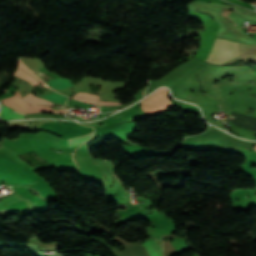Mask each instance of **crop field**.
<instances>
[{
  "label": "crop field",
  "instance_id": "obj_13",
  "mask_svg": "<svg viewBox=\"0 0 256 256\" xmlns=\"http://www.w3.org/2000/svg\"><path fill=\"white\" fill-rule=\"evenodd\" d=\"M17 68L26 71L28 74H30L32 77H34L36 80H38L39 82L44 84L38 77L34 76L33 72L31 70H29L21 61H19V64H18Z\"/></svg>",
  "mask_w": 256,
  "mask_h": 256
},
{
  "label": "crop field",
  "instance_id": "obj_14",
  "mask_svg": "<svg viewBox=\"0 0 256 256\" xmlns=\"http://www.w3.org/2000/svg\"><path fill=\"white\" fill-rule=\"evenodd\" d=\"M100 105H117L115 103L98 102Z\"/></svg>",
  "mask_w": 256,
  "mask_h": 256
},
{
  "label": "crop field",
  "instance_id": "obj_16",
  "mask_svg": "<svg viewBox=\"0 0 256 256\" xmlns=\"http://www.w3.org/2000/svg\"><path fill=\"white\" fill-rule=\"evenodd\" d=\"M255 152H256V146L254 147V149H253Z\"/></svg>",
  "mask_w": 256,
  "mask_h": 256
},
{
  "label": "crop field",
  "instance_id": "obj_1",
  "mask_svg": "<svg viewBox=\"0 0 256 256\" xmlns=\"http://www.w3.org/2000/svg\"><path fill=\"white\" fill-rule=\"evenodd\" d=\"M239 55L240 54L236 43L216 38L213 50L207 61L219 64Z\"/></svg>",
  "mask_w": 256,
  "mask_h": 256
},
{
  "label": "crop field",
  "instance_id": "obj_11",
  "mask_svg": "<svg viewBox=\"0 0 256 256\" xmlns=\"http://www.w3.org/2000/svg\"><path fill=\"white\" fill-rule=\"evenodd\" d=\"M24 100L30 102L32 105L35 104V103H40V104H49V105H53L52 103H49L47 101H44V100H41L31 94L23 97Z\"/></svg>",
  "mask_w": 256,
  "mask_h": 256
},
{
  "label": "crop field",
  "instance_id": "obj_3",
  "mask_svg": "<svg viewBox=\"0 0 256 256\" xmlns=\"http://www.w3.org/2000/svg\"><path fill=\"white\" fill-rule=\"evenodd\" d=\"M6 105L20 111V112H27L29 111H37V110H51L50 107L40 106V105H29L25 101L22 100L20 95L13 96L8 99L2 100ZM28 111V112H29ZM43 112H50V111H43Z\"/></svg>",
  "mask_w": 256,
  "mask_h": 256
},
{
  "label": "crop field",
  "instance_id": "obj_6",
  "mask_svg": "<svg viewBox=\"0 0 256 256\" xmlns=\"http://www.w3.org/2000/svg\"><path fill=\"white\" fill-rule=\"evenodd\" d=\"M51 81L47 82L48 85L55 89H64L68 86H73V84L70 82V80L61 78V79H50Z\"/></svg>",
  "mask_w": 256,
  "mask_h": 256
},
{
  "label": "crop field",
  "instance_id": "obj_5",
  "mask_svg": "<svg viewBox=\"0 0 256 256\" xmlns=\"http://www.w3.org/2000/svg\"><path fill=\"white\" fill-rule=\"evenodd\" d=\"M16 112H14V110H12V109H10V108H8V107L3 105L2 106V110H1V114H0V119L1 120H9V118H13V119L25 118L26 115L18 114Z\"/></svg>",
  "mask_w": 256,
  "mask_h": 256
},
{
  "label": "crop field",
  "instance_id": "obj_8",
  "mask_svg": "<svg viewBox=\"0 0 256 256\" xmlns=\"http://www.w3.org/2000/svg\"><path fill=\"white\" fill-rule=\"evenodd\" d=\"M59 94V93H58ZM57 93L53 92L52 94L43 96L44 99L57 102V103H65L68 99L66 96L58 95Z\"/></svg>",
  "mask_w": 256,
  "mask_h": 256
},
{
  "label": "crop field",
  "instance_id": "obj_4",
  "mask_svg": "<svg viewBox=\"0 0 256 256\" xmlns=\"http://www.w3.org/2000/svg\"><path fill=\"white\" fill-rule=\"evenodd\" d=\"M150 256H162L161 238L143 243Z\"/></svg>",
  "mask_w": 256,
  "mask_h": 256
},
{
  "label": "crop field",
  "instance_id": "obj_7",
  "mask_svg": "<svg viewBox=\"0 0 256 256\" xmlns=\"http://www.w3.org/2000/svg\"><path fill=\"white\" fill-rule=\"evenodd\" d=\"M92 134H93V132L88 133L86 135L76 137V138L68 139L70 147L76 146L80 143H83V142L89 140V138L92 136Z\"/></svg>",
  "mask_w": 256,
  "mask_h": 256
},
{
  "label": "crop field",
  "instance_id": "obj_12",
  "mask_svg": "<svg viewBox=\"0 0 256 256\" xmlns=\"http://www.w3.org/2000/svg\"><path fill=\"white\" fill-rule=\"evenodd\" d=\"M15 75H17L20 78H24V79L28 80L32 84V86H34L35 84L38 85L37 81H35L32 77H30L28 74L24 73L21 70H16Z\"/></svg>",
  "mask_w": 256,
  "mask_h": 256
},
{
  "label": "crop field",
  "instance_id": "obj_15",
  "mask_svg": "<svg viewBox=\"0 0 256 256\" xmlns=\"http://www.w3.org/2000/svg\"><path fill=\"white\" fill-rule=\"evenodd\" d=\"M52 112H57V113H67V110H60V111L52 110Z\"/></svg>",
  "mask_w": 256,
  "mask_h": 256
},
{
  "label": "crop field",
  "instance_id": "obj_2",
  "mask_svg": "<svg viewBox=\"0 0 256 256\" xmlns=\"http://www.w3.org/2000/svg\"><path fill=\"white\" fill-rule=\"evenodd\" d=\"M168 90L161 88L149 97L142 100V109L148 113L161 114L168 107L172 106V102L167 97Z\"/></svg>",
  "mask_w": 256,
  "mask_h": 256
},
{
  "label": "crop field",
  "instance_id": "obj_10",
  "mask_svg": "<svg viewBox=\"0 0 256 256\" xmlns=\"http://www.w3.org/2000/svg\"><path fill=\"white\" fill-rule=\"evenodd\" d=\"M75 98H78L80 100H84V101H89V102H94L96 103L98 100V96L96 95H92V94H87V93H78Z\"/></svg>",
  "mask_w": 256,
  "mask_h": 256
},
{
  "label": "crop field",
  "instance_id": "obj_9",
  "mask_svg": "<svg viewBox=\"0 0 256 256\" xmlns=\"http://www.w3.org/2000/svg\"><path fill=\"white\" fill-rule=\"evenodd\" d=\"M229 17L231 18L232 21L235 22V24H237L238 26H240L241 24H243L245 21L252 23L253 20L250 19H245L244 17H242L241 15L235 13V12H231L229 13Z\"/></svg>",
  "mask_w": 256,
  "mask_h": 256
}]
</instances>
